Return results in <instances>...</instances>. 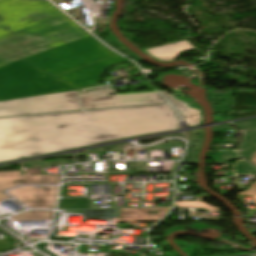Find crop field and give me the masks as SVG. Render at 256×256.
I'll use <instances>...</instances> for the list:
<instances>
[{
    "instance_id": "3",
    "label": "crop field",
    "mask_w": 256,
    "mask_h": 256,
    "mask_svg": "<svg viewBox=\"0 0 256 256\" xmlns=\"http://www.w3.org/2000/svg\"><path fill=\"white\" fill-rule=\"evenodd\" d=\"M67 89L73 87L22 60L0 66V99Z\"/></svg>"
},
{
    "instance_id": "13",
    "label": "crop field",
    "mask_w": 256,
    "mask_h": 256,
    "mask_svg": "<svg viewBox=\"0 0 256 256\" xmlns=\"http://www.w3.org/2000/svg\"><path fill=\"white\" fill-rule=\"evenodd\" d=\"M175 206H183V207H200L206 209L208 211H217L218 209L207 205L200 201H186V202H176Z\"/></svg>"
},
{
    "instance_id": "17",
    "label": "crop field",
    "mask_w": 256,
    "mask_h": 256,
    "mask_svg": "<svg viewBox=\"0 0 256 256\" xmlns=\"http://www.w3.org/2000/svg\"><path fill=\"white\" fill-rule=\"evenodd\" d=\"M254 164H256V152H255V154H254V156H253V158H252V160H251Z\"/></svg>"
},
{
    "instance_id": "7",
    "label": "crop field",
    "mask_w": 256,
    "mask_h": 256,
    "mask_svg": "<svg viewBox=\"0 0 256 256\" xmlns=\"http://www.w3.org/2000/svg\"><path fill=\"white\" fill-rule=\"evenodd\" d=\"M61 175H20V172L0 173V200L9 198L3 190L18 184L58 183Z\"/></svg>"
},
{
    "instance_id": "2",
    "label": "crop field",
    "mask_w": 256,
    "mask_h": 256,
    "mask_svg": "<svg viewBox=\"0 0 256 256\" xmlns=\"http://www.w3.org/2000/svg\"><path fill=\"white\" fill-rule=\"evenodd\" d=\"M169 105L0 119V162L178 128Z\"/></svg>"
},
{
    "instance_id": "9",
    "label": "crop field",
    "mask_w": 256,
    "mask_h": 256,
    "mask_svg": "<svg viewBox=\"0 0 256 256\" xmlns=\"http://www.w3.org/2000/svg\"><path fill=\"white\" fill-rule=\"evenodd\" d=\"M190 49H194L193 45L188 41L184 40L161 47L146 49L145 51L151 56L157 58L158 60L172 61L178 56L179 53Z\"/></svg>"
},
{
    "instance_id": "5",
    "label": "crop field",
    "mask_w": 256,
    "mask_h": 256,
    "mask_svg": "<svg viewBox=\"0 0 256 256\" xmlns=\"http://www.w3.org/2000/svg\"><path fill=\"white\" fill-rule=\"evenodd\" d=\"M84 109L140 105L165 102L156 92L93 96L80 98Z\"/></svg>"
},
{
    "instance_id": "14",
    "label": "crop field",
    "mask_w": 256,
    "mask_h": 256,
    "mask_svg": "<svg viewBox=\"0 0 256 256\" xmlns=\"http://www.w3.org/2000/svg\"><path fill=\"white\" fill-rule=\"evenodd\" d=\"M104 94H115V92L113 89L97 90V91H93V93H89V94L81 93L80 97L93 96V95H104Z\"/></svg>"
},
{
    "instance_id": "16",
    "label": "crop field",
    "mask_w": 256,
    "mask_h": 256,
    "mask_svg": "<svg viewBox=\"0 0 256 256\" xmlns=\"http://www.w3.org/2000/svg\"><path fill=\"white\" fill-rule=\"evenodd\" d=\"M256 173V167L252 166L251 170H241V171H234V174H254Z\"/></svg>"
},
{
    "instance_id": "15",
    "label": "crop field",
    "mask_w": 256,
    "mask_h": 256,
    "mask_svg": "<svg viewBox=\"0 0 256 256\" xmlns=\"http://www.w3.org/2000/svg\"><path fill=\"white\" fill-rule=\"evenodd\" d=\"M240 195H253V202L256 203V183L252 184L247 192H240Z\"/></svg>"
},
{
    "instance_id": "6",
    "label": "crop field",
    "mask_w": 256,
    "mask_h": 256,
    "mask_svg": "<svg viewBox=\"0 0 256 256\" xmlns=\"http://www.w3.org/2000/svg\"><path fill=\"white\" fill-rule=\"evenodd\" d=\"M58 187H20L9 191L24 204L36 208H54Z\"/></svg>"
},
{
    "instance_id": "10",
    "label": "crop field",
    "mask_w": 256,
    "mask_h": 256,
    "mask_svg": "<svg viewBox=\"0 0 256 256\" xmlns=\"http://www.w3.org/2000/svg\"><path fill=\"white\" fill-rule=\"evenodd\" d=\"M178 109L179 113L183 115L184 120L189 126H195L200 124L201 114L200 110H194L187 106L183 101H179L172 97L165 91H161Z\"/></svg>"
},
{
    "instance_id": "12",
    "label": "crop field",
    "mask_w": 256,
    "mask_h": 256,
    "mask_svg": "<svg viewBox=\"0 0 256 256\" xmlns=\"http://www.w3.org/2000/svg\"><path fill=\"white\" fill-rule=\"evenodd\" d=\"M53 212L51 211H29L21 215L11 217L13 220H33V219H51Z\"/></svg>"
},
{
    "instance_id": "4",
    "label": "crop field",
    "mask_w": 256,
    "mask_h": 256,
    "mask_svg": "<svg viewBox=\"0 0 256 256\" xmlns=\"http://www.w3.org/2000/svg\"><path fill=\"white\" fill-rule=\"evenodd\" d=\"M75 91L0 102V117L80 110Z\"/></svg>"
},
{
    "instance_id": "11",
    "label": "crop field",
    "mask_w": 256,
    "mask_h": 256,
    "mask_svg": "<svg viewBox=\"0 0 256 256\" xmlns=\"http://www.w3.org/2000/svg\"><path fill=\"white\" fill-rule=\"evenodd\" d=\"M59 209L94 208L93 200L88 198L60 199Z\"/></svg>"
},
{
    "instance_id": "1",
    "label": "crop field",
    "mask_w": 256,
    "mask_h": 256,
    "mask_svg": "<svg viewBox=\"0 0 256 256\" xmlns=\"http://www.w3.org/2000/svg\"><path fill=\"white\" fill-rule=\"evenodd\" d=\"M80 28L47 0H0V65L22 59L78 88L127 61Z\"/></svg>"
},
{
    "instance_id": "8",
    "label": "crop field",
    "mask_w": 256,
    "mask_h": 256,
    "mask_svg": "<svg viewBox=\"0 0 256 256\" xmlns=\"http://www.w3.org/2000/svg\"><path fill=\"white\" fill-rule=\"evenodd\" d=\"M169 208L120 209V222L156 221Z\"/></svg>"
}]
</instances>
